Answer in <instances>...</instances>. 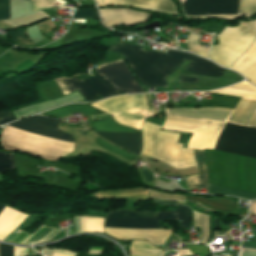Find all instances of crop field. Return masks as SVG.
Instances as JSON below:
<instances>
[{
    "instance_id": "0bd39190",
    "label": "crop field",
    "mask_w": 256,
    "mask_h": 256,
    "mask_svg": "<svg viewBox=\"0 0 256 256\" xmlns=\"http://www.w3.org/2000/svg\"><path fill=\"white\" fill-rule=\"evenodd\" d=\"M153 212H145V213H134L129 211H112L107 216L110 217H142V216H152Z\"/></svg>"
},
{
    "instance_id": "5a996713",
    "label": "crop field",
    "mask_w": 256,
    "mask_h": 256,
    "mask_svg": "<svg viewBox=\"0 0 256 256\" xmlns=\"http://www.w3.org/2000/svg\"><path fill=\"white\" fill-rule=\"evenodd\" d=\"M214 149L256 158V128L227 123Z\"/></svg>"
},
{
    "instance_id": "db79e9e6",
    "label": "crop field",
    "mask_w": 256,
    "mask_h": 256,
    "mask_svg": "<svg viewBox=\"0 0 256 256\" xmlns=\"http://www.w3.org/2000/svg\"><path fill=\"white\" fill-rule=\"evenodd\" d=\"M232 245H239L238 242H232Z\"/></svg>"
},
{
    "instance_id": "d1516ede",
    "label": "crop field",
    "mask_w": 256,
    "mask_h": 256,
    "mask_svg": "<svg viewBox=\"0 0 256 256\" xmlns=\"http://www.w3.org/2000/svg\"><path fill=\"white\" fill-rule=\"evenodd\" d=\"M102 121H114L112 118L102 119L92 122ZM94 131H106V132H129V133H140L139 130L122 127L115 122H103V123H90ZM96 132L105 139L129 150L136 154H139L141 139L140 134H129V133H106ZM138 156V155H137Z\"/></svg>"
},
{
    "instance_id": "b54c1fbb",
    "label": "crop field",
    "mask_w": 256,
    "mask_h": 256,
    "mask_svg": "<svg viewBox=\"0 0 256 256\" xmlns=\"http://www.w3.org/2000/svg\"><path fill=\"white\" fill-rule=\"evenodd\" d=\"M11 121H15V119L9 111L0 112V125Z\"/></svg>"
},
{
    "instance_id": "1d83c4d3",
    "label": "crop field",
    "mask_w": 256,
    "mask_h": 256,
    "mask_svg": "<svg viewBox=\"0 0 256 256\" xmlns=\"http://www.w3.org/2000/svg\"><path fill=\"white\" fill-rule=\"evenodd\" d=\"M95 143L98 144L99 146H101V147H103V148L121 156V157H124V158L132 161V162H134L135 159L137 158L136 156H134V155H132V154L126 152V151H123V150H121V149H119V148H117V147H115L111 144H108V143L104 142L100 138H98Z\"/></svg>"
},
{
    "instance_id": "5142ce71",
    "label": "crop field",
    "mask_w": 256,
    "mask_h": 256,
    "mask_svg": "<svg viewBox=\"0 0 256 256\" xmlns=\"http://www.w3.org/2000/svg\"><path fill=\"white\" fill-rule=\"evenodd\" d=\"M102 16L103 24L107 27L124 24H140L148 21L150 14L136 12L129 9H101L99 10Z\"/></svg>"
},
{
    "instance_id": "cbeb9de0",
    "label": "crop field",
    "mask_w": 256,
    "mask_h": 256,
    "mask_svg": "<svg viewBox=\"0 0 256 256\" xmlns=\"http://www.w3.org/2000/svg\"><path fill=\"white\" fill-rule=\"evenodd\" d=\"M185 15L231 14L232 0H186ZM238 0H233L232 14H237Z\"/></svg>"
},
{
    "instance_id": "750c4746",
    "label": "crop field",
    "mask_w": 256,
    "mask_h": 256,
    "mask_svg": "<svg viewBox=\"0 0 256 256\" xmlns=\"http://www.w3.org/2000/svg\"><path fill=\"white\" fill-rule=\"evenodd\" d=\"M194 227H201V238L199 243L207 244L209 234V216L194 212Z\"/></svg>"
},
{
    "instance_id": "d8731c3e",
    "label": "crop field",
    "mask_w": 256,
    "mask_h": 256,
    "mask_svg": "<svg viewBox=\"0 0 256 256\" xmlns=\"http://www.w3.org/2000/svg\"><path fill=\"white\" fill-rule=\"evenodd\" d=\"M256 109V99L242 98L235 110L228 108H169L166 114L188 119H215L244 126Z\"/></svg>"
},
{
    "instance_id": "00972430",
    "label": "crop field",
    "mask_w": 256,
    "mask_h": 256,
    "mask_svg": "<svg viewBox=\"0 0 256 256\" xmlns=\"http://www.w3.org/2000/svg\"><path fill=\"white\" fill-rule=\"evenodd\" d=\"M20 213L11 210L7 207L0 213V232H2L14 219H16ZM27 217V215L21 214L15 221H13L1 234L0 240H4V238L15 228H17L23 220Z\"/></svg>"
},
{
    "instance_id": "7b73153f",
    "label": "crop field",
    "mask_w": 256,
    "mask_h": 256,
    "mask_svg": "<svg viewBox=\"0 0 256 256\" xmlns=\"http://www.w3.org/2000/svg\"><path fill=\"white\" fill-rule=\"evenodd\" d=\"M253 22H254V24H255V27H256V19H255V20H253Z\"/></svg>"
},
{
    "instance_id": "d23c7cc5",
    "label": "crop field",
    "mask_w": 256,
    "mask_h": 256,
    "mask_svg": "<svg viewBox=\"0 0 256 256\" xmlns=\"http://www.w3.org/2000/svg\"><path fill=\"white\" fill-rule=\"evenodd\" d=\"M178 82H183V83H196V84H198V79L192 78V77H188V76L180 75Z\"/></svg>"
},
{
    "instance_id": "28ad6ade",
    "label": "crop field",
    "mask_w": 256,
    "mask_h": 256,
    "mask_svg": "<svg viewBox=\"0 0 256 256\" xmlns=\"http://www.w3.org/2000/svg\"><path fill=\"white\" fill-rule=\"evenodd\" d=\"M64 95L78 91L87 101L97 99L95 94L102 98L110 97L112 94L120 93L105 79L94 77L80 81L76 77L56 81Z\"/></svg>"
},
{
    "instance_id": "89e229c0",
    "label": "crop field",
    "mask_w": 256,
    "mask_h": 256,
    "mask_svg": "<svg viewBox=\"0 0 256 256\" xmlns=\"http://www.w3.org/2000/svg\"><path fill=\"white\" fill-rule=\"evenodd\" d=\"M207 17H220L222 19H235L239 16L223 15V16H202V17H187V18H207Z\"/></svg>"
},
{
    "instance_id": "dbb93151",
    "label": "crop field",
    "mask_w": 256,
    "mask_h": 256,
    "mask_svg": "<svg viewBox=\"0 0 256 256\" xmlns=\"http://www.w3.org/2000/svg\"><path fill=\"white\" fill-rule=\"evenodd\" d=\"M250 210H251V213L256 215V200L251 202Z\"/></svg>"
},
{
    "instance_id": "d32e631a",
    "label": "crop field",
    "mask_w": 256,
    "mask_h": 256,
    "mask_svg": "<svg viewBox=\"0 0 256 256\" xmlns=\"http://www.w3.org/2000/svg\"><path fill=\"white\" fill-rule=\"evenodd\" d=\"M239 14L245 16L256 14V0H240Z\"/></svg>"
},
{
    "instance_id": "733c2abd",
    "label": "crop field",
    "mask_w": 256,
    "mask_h": 256,
    "mask_svg": "<svg viewBox=\"0 0 256 256\" xmlns=\"http://www.w3.org/2000/svg\"><path fill=\"white\" fill-rule=\"evenodd\" d=\"M59 229L57 228H53V227H49V226H45L42 225L40 228H38L33 234H31L29 236V234L27 233H23L22 231L16 229L14 230L12 233H10L4 241H11L12 239H14L18 234V235L14 240H12L11 242L14 243H21L25 238H28L26 240H24L22 243L24 244H31V243H36V242H41V241H45L51 237H53L54 235H56L58 233Z\"/></svg>"
},
{
    "instance_id": "bc2a9ffb",
    "label": "crop field",
    "mask_w": 256,
    "mask_h": 256,
    "mask_svg": "<svg viewBox=\"0 0 256 256\" xmlns=\"http://www.w3.org/2000/svg\"><path fill=\"white\" fill-rule=\"evenodd\" d=\"M81 99L83 98L77 92H75L66 97L46 101L43 103H39L33 106H29L23 109L13 111V114L16 116L17 119H19V118H22L34 113H38V112L68 103V102L79 101Z\"/></svg>"
},
{
    "instance_id": "e52e79f7",
    "label": "crop field",
    "mask_w": 256,
    "mask_h": 256,
    "mask_svg": "<svg viewBox=\"0 0 256 256\" xmlns=\"http://www.w3.org/2000/svg\"><path fill=\"white\" fill-rule=\"evenodd\" d=\"M224 122L215 120H187L166 117L164 130L193 133L187 148L192 150L213 149L224 126Z\"/></svg>"
},
{
    "instance_id": "dafd665d",
    "label": "crop field",
    "mask_w": 256,
    "mask_h": 256,
    "mask_svg": "<svg viewBox=\"0 0 256 256\" xmlns=\"http://www.w3.org/2000/svg\"><path fill=\"white\" fill-rule=\"evenodd\" d=\"M202 204L204 207L216 210L217 213L221 214H235L237 202H233L232 199H220V198H204V197H191L186 196Z\"/></svg>"
},
{
    "instance_id": "214f88e0",
    "label": "crop field",
    "mask_w": 256,
    "mask_h": 256,
    "mask_svg": "<svg viewBox=\"0 0 256 256\" xmlns=\"http://www.w3.org/2000/svg\"><path fill=\"white\" fill-rule=\"evenodd\" d=\"M71 113H84L88 116L104 114V112H101L91 107L88 103H81V104H70L68 106L43 113L42 115L62 117V116L69 115ZM105 117H109V115L104 114V115L92 116L91 120L105 118Z\"/></svg>"
},
{
    "instance_id": "120bbe31",
    "label": "crop field",
    "mask_w": 256,
    "mask_h": 256,
    "mask_svg": "<svg viewBox=\"0 0 256 256\" xmlns=\"http://www.w3.org/2000/svg\"><path fill=\"white\" fill-rule=\"evenodd\" d=\"M14 256H22L27 254V248L13 247ZM12 246L0 244V256H13ZM33 251L28 248V254Z\"/></svg>"
},
{
    "instance_id": "5d738f31",
    "label": "crop field",
    "mask_w": 256,
    "mask_h": 256,
    "mask_svg": "<svg viewBox=\"0 0 256 256\" xmlns=\"http://www.w3.org/2000/svg\"><path fill=\"white\" fill-rule=\"evenodd\" d=\"M188 249L193 253H209L207 247L201 245H188Z\"/></svg>"
},
{
    "instance_id": "3316defc",
    "label": "crop field",
    "mask_w": 256,
    "mask_h": 256,
    "mask_svg": "<svg viewBox=\"0 0 256 256\" xmlns=\"http://www.w3.org/2000/svg\"><path fill=\"white\" fill-rule=\"evenodd\" d=\"M153 217L143 218H110L107 217L104 227L113 228H162L157 221L177 220L180 227L187 229L190 225V209L179 205L176 211L155 213Z\"/></svg>"
},
{
    "instance_id": "ac0d7876",
    "label": "crop field",
    "mask_w": 256,
    "mask_h": 256,
    "mask_svg": "<svg viewBox=\"0 0 256 256\" xmlns=\"http://www.w3.org/2000/svg\"><path fill=\"white\" fill-rule=\"evenodd\" d=\"M58 122L55 119L35 116L12 123L10 126L74 141L72 136L57 129ZM10 126L5 127L0 142V146L8 151L26 152L47 160H57L62 155L72 152V141Z\"/></svg>"
},
{
    "instance_id": "25e5ab78",
    "label": "crop field",
    "mask_w": 256,
    "mask_h": 256,
    "mask_svg": "<svg viewBox=\"0 0 256 256\" xmlns=\"http://www.w3.org/2000/svg\"><path fill=\"white\" fill-rule=\"evenodd\" d=\"M241 256H256V250L242 248Z\"/></svg>"
},
{
    "instance_id": "34b2d1b8",
    "label": "crop field",
    "mask_w": 256,
    "mask_h": 256,
    "mask_svg": "<svg viewBox=\"0 0 256 256\" xmlns=\"http://www.w3.org/2000/svg\"><path fill=\"white\" fill-rule=\"evenodd\" d=\"M222 157V152H221ZM220 152L214 150H205V162L208 168L209 183L225 187L256 193V167L255 159L240 156L241 164V182H240V164L239 156L223 153L224 180L222 181Z\"/></svg>"
},
{
    "instance_id": "a9b5d70f",
    "label": "crop field",
    "mask_w": 256,
    "mask_h": 256,
    "mask_svg": "<svg viewBox=\"0 0 256 256\" xmlns=\"http://www.w3.org/2000/svg\"><path fill=\"white\" fill-rule=\"evenodd\" d=\"M197 164L199 166L201 175L189 176L186 178V188H206L208 187V175L204 164L203 151H194Z\"/></svg>"
},
{
    "instance_id": "e1f06a70",
    "label": "crop field",
    "mask_w": 256,
    "mask_h": 256,
    "mask_svg": "<svg viewBox=\"0 0 256 256\" xmlns=\"http://www.w3.org/2000/svg\"><path fill=\"white\" fill-rule=\"evenodd\" d=\"M73 18L88 19L99 18L98 11L96 9H77Z\"/></svg>"
},
{
    "instance_id": "8a807250",
    "label": "crop field",
    "mask_w": 256,
    "mask_h": 256,
    "mask_svg": "<svg viewBox=\"0 0 256 256\" xmlns=\"http://www.w3.org/2000/svg\"><path fill=\"white\" fill-rule=\"evenodd\" d=\"M143 47L118 43L109 47L108 51L123 54L138 79L144 86L165 87V79L171 75L184 61H191L185 71L221 77L223 69L194 55L166 49L165 53L142 51Z\"/></svg>"
},
{
    "instance_id": "b80d0937",
    "label": "crop field",
    "mask_w": 256,
    "mask_h": 256,
    "mask_svg": "<svg viewBox=\"0 0 256 256\" xmlns=\"http://www.w3.org/2000/svg\"><path fill=\"white\" fill-rule=\"evenodd\" d=\"M13 156L12 153L3 154L0 152V172L13 168Z\"/></svg>"
},
{
    "instance_id": "bd1437ed",
    "label": "crop field",
    "mask_w": 256,
    "mask_h": 256,
    "mask_svg": "<svg viewBox=\"0 0 256 256\" xmlns=\"http://www.w3.org/2000/svg\"><path fill=\"white\" fill-rule=\"evenodd\" d=\"M187 46H188V51L195 53L197 55L203 56L205 58L207 55V48L202 47L200 45H198V40H197V36L190 33V35L187 38Z\"/></svg>"
},
{
    "instance_id": "d3111659",
    "label": "crop field",
    "mask_w": 256,
    "mask_h": 256,
    "mask_svg": "<svg viewBox=\"0 0 256 256\" xmlns=\"http://www.w3.org/2000/svg\"><path fill=\"white\" fill-rule=\"evenodd\" d=\"M210 186V194H216V195H233L236 197H240L247 200L256 199V194L227 189L220 186L211 185Z\"/></svg>"
},
{
    "instance_id": "f4fd0767",
    "label": "crop field",
    "mask_w": 256,
    "mask_h": 256,
    "mask_svg": "<svg viewBox=\"0 0 256 256\" xmlns=\"http://www.w3.org/2000/svg\"><path fill=\"white\" fill-rule=\"evenodd\" d=\"M217 37L220 43L210 47L209 57L219 65L229 68L254 41L255 29L251 22H240L238 27H225Z\"/></svg>"
},
{
    "instance_id": "028f5c9d",
    "label": "crop field",
    "mask_w": 256,
    "mask_h": 256,
    "mask_svg": "<svg viewBox=\"0 0 256 256\" xmlns=\"http://www.w3.org/2000/svg\"><path fill=\"white\" fill-rule=\"evenodd\" d=\"M10 39L11 41L21 44V45H35L32 42H30L24 33V29L22 30H17V31H12L9 32Z\"/></svg>"
},
{
    "instance_id": "d9b57169",
    "label": "crop field",
    "mask_w": 256,
    "mask_h": 256,
    "mask_svg": "<svg viewBox=\"0 0 256 256\" xmlns=\"http://www.w3.org/2000/svg\"><path fill=\"white\" fill-rule=\"evenodd\" d=\"M106 233L121 240L148 239L154 245L164 244L165 240L172 233L171 230H125L105 228Z\"/></svg>"
},
{
    "instance_id": "eef30255",
    "label": "crop field",
    "mask_w": 256,
    "mask_h": 256,
    "mask_svg": "<svg viewBox=\"0 0 256 256\" xmlns=\"http://www.w3.org/2000/svg\"><path fill=\"white\" fill-rule=\"evenodd\" d=\"M130 256H161V250L154 248L147 242L132 241Z\"/></svg>"
},
{
    "instance_id": "5866460e",
    "label": "crop field",
    "mask_w": 256,
    "mask_h": 256,
    "mask_svg": "<svg viewBox=\"0 0 256 256\" xmlns=\"http://www.w3.org/2000/svg\"><path fill=\"white\" fill-rule=\"evenodd\" d=\"M149 197L155 198V199L167 200V201L181 202V203H184V199H185V196L164 194V193H159L155 191H150Z\"/></svg>"
},
{
    "instance_id": "9d1cf04e",
    "label": "crop field",
    "mask_w": 256,
    "mask_h": 256,
    "mask_svg": "<svg viewBox=\"0 0 256 256\" xmlns=\"http://www.w3.org/2000/svg\"><path fill=\"white\" fill-rule=\"evenodd\" d=\"M42 252H43V253H47V254H50V255H51V251H50V250L45 249V250H43Z\"/></svg>"
},
{
    "instance_id": "1f2cbd36",
    "label": "crop field",
    "mask_w": 256,
    "mask_h": 256,
    "mask_svg": "<svg viewBox=\"0 0 256 256\" xmlns=\"http://www.w3.org/2000/svg\"><path fill=\"white\" fill-rule=\"evenodd\" d=\"M179 256H187V255H192V253L188 250H182V249H177Z\"/></svg>"
},
{
    "instance_id": "4a817a6b",
    "label": "crop field",
    "mask_w": 256,
    "mask_h": 256,
    "mask_svg": "<svg viewBox=\"0 0 256 256\" xmlns=\"http://www.w3.org/2000/svg\"><path fill=\"white\" fill-rule=\"evenodd\" d=\"M231 68L256 85V41Z\"/></svg>"
},
{
    "instance_id": "4177f3b9",
    "label": "crop field",
    "mask_w": 256,
    "mask_h": 256,
    "mask_svg": "<svg viewBox=\"0 0 256 256\" xmlns=\"http://www.w3.org/2000/svg\"><path fill=\"white\" fill-rule=\"evenodd\" d=\"M103 220L96 217H74L76 232H103Z\"/></svg>"
},
{
    "instance_id": "730fd06b",
    "label": "crop field",
    "mask_w": 256,
    "mask_h": 256,
    "mask_svg": "<svg viewBox=\"0 0 256 256\" xmlns=\"http://www.w3.org/2000/svg\"><path fill=\"white\" fill-rule=\"evenodd\" d=\"M255 88L252 87L248 82H243L241 84H238V85H235V86H232L229 88L212 91V93L239 96V97H247V98H256V89Z\"/></svg>"
},
{
    "instance_id": "92a150f3",
    "label": "crop field",
    "mask_w": 256,
    "mask_h": 256,
    "mask_svg": "<svg viewBox=\"0 0 256 256\" xmlns=\"http://www.w3.org/2000/svg\"><path fill=\"white\" fill-rule=\"evenodd\" d=\"M109 4H125L177 14L175 5L169 0H109Z\"/></svg>"
},
{
    "instance_id": "c035e120",
    "label": "crop field",
    "mask_w": 256,
    "mask_h": 256,
    "mask_svg": "<svg viewBox=\"0 0 256 256\" xmlns=\"http://www.w3.org/2000/svg\"><path fill=\"white\" fill-rule=\"evenodd\" d=\"M14 62V56L8 50L2 56H0V67L5 68L7 70H11Z\"/></svg>"
},
{
    "instance_id": "22f410ed",
    "label": "crop field",
    "mask_w": 256,
    "mask_h": 256,
    "mask_svg": "<svg viewBox=\"0 0 256 256\" xmlns=\"http://www.w3.org/2000/svg\"><path fill=\"white\" fill-rule=\"evenodd\" d=\"M95 72L97 75L105 77L126 94L146 92L131 75L123 59L101 64L97 66Z\"/></svg>"
},
{
    "instance_id": "0765c3eb",
    "label": "crop field",
    "mask_w": 256,
    "mask_h": 256,
    "mask_svg": "<svg viewBox=\"0 0 256 256\" xmlns=\"http://www.w3.org/2000/svg\"><path fill=\"white\" fill-rule=\"evenodd\" d=\"M101 252H89V254H100Z\"/></svg>"
},
{
    "instance_id": "dd49c442",
    "label": "crop field",
    "mask_w": 256,
    "mask_h": 256,
    "mask_svg": "<svg viewBox=\"0 0 256 256\" xmlns=\"http://www.w3.org/2000/svg\"><path fill=\"white\" fill-rule=\"evenodd\" d=\"M110 115L121 125L140 130V123L154 111L147 105L144 95H124L91 104Z\"/></svg>"
},
{
    "instance_id": "425ffa30",
    "label": "crop field",
    "mask_w": 256,
    "mask_h": 256,
    "mask_svg": "<svg viewBox=\"0 0 256 256\" xmlns=\"http://www.w3.org/2000/svg\"><path fill=\"white\" fill-rule=\"evenodd\" d=\"M53 254L58 256H75V253L53 249Z\"/></svg>"
},
{
    "instance_id": "0fb4a251",
    "label": "crop field",
    "mask_w": 256,
    "mask_h": 256,
    "mask_svg": "<svg viewBox=\"0 0 256 256\" xmlns=\"http://www.w3.org/2000/svg\"><path fill=\"white\" fill-rule=\"evenodd\" d=\"M242 247L256 249V244L242 242Z\"/></svg>"
},
{
    "instance_id": "412701ff",
    "label": "crop field",
    "mask_w": 256,
    "mask_h": 256,
    "mask_svg": "<svg viewBox=\"0 0 256 256\" xmlns=\"http://www.w3.org/2000/svg\"><path fill=\"white\" fill-rule=\"evenodd\" d=\"M160 127L144 122L142 125V156L157 158L177 169L196 165L192 150L177 144L179 134L159 132Z\"/></svg>"
},
{
    "instance_id": "1d79db26",
    "label": "crop field",
    "mask_w": 256,
    "mask_h": 256,
    "mask_svg": "<svg viewBox=\"0 0 256 256\" xmlns=\"http://www.w3.org/2000/svg\"><path fill=\"white\" fill-rule=\"evenodd\" d=\"M99 6L108 5V0H97Z\"/></svg>"
},
{
    "instance_id": "c21b1889",
    "label": "crop field",
    "mask_w": 256,
    "mask_h": 256,
    "mask_svg": "<svg viewBox=\"0 0 256 256\" xmlns=\"http://www.w3.org/2000/svg\"><path fill=\"white\" fill-rule=\"evenodd\" d=\"M54 0H32L33 12L42 8L50 7Z\"/></svg>"
},
{
    "instance_id": "447ae74e",
    "label": "crop field",
    "mask_w": 256,
    "mask_h": 256,
    "mask_svg": "<svg viewBox=\"0 0 256 256\" xmlns=\"http://www.w3.org/2000/svg\"><path fill=\"white\" fill-rule=\"evenodd\" d=\"M4 207L5 205L0 203V212L3 210Z\"/></svg>"
},
{
    "instance_id": "ae1a2a85",
    "label": "crop field",
    "mask_w": 256,
    "mask_h": 256,
    "mask_svg": "<svg viewBox=\"0 0 256 256\" xmlns=\"http://www.w3.org/2000/svg\"><path fill=\"white\" fill-rule=\"evenodd\" d=\"M148 190L137 188L132 190H117L98 193L99 198L103 197H131L139 200L147 198Z\"/></svg>"
},
{
    "instance_id": "03da06ac",
    "label": "crop field",
    "mask_w": 256,
    "mask_h": 256,
    "mask_svg": "<svg viewBox=\"0 0 256 256\" xmlns=\"http://www.w3.org/2000/svg\"><path fill=\"white\" fill-rule=\"evenodd\" d=\"M9 19V0H0V20Z\"/></svg>"
},
{
    "instance_id": "73cf0c24",
    "label": "crop field",
    "mask_w": 256,
    "mask_h": 256,
    "mask_svg": "<svg viewBox=\"0 0 256 256\" xmlns=\"http://www.w3.org/2000/svg\"><path fill=\"white\" fill-rule=\"evenodd\" d=\"M246 126H253L256 127V110L255 112L252 114V116L249 118Z\"/></svg>"
}]
</instances>
